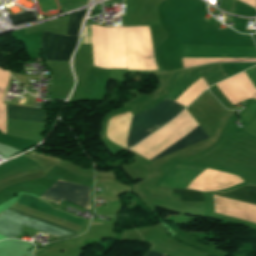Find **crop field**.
<instances>
[{
  "mask_svg": "<svg viewBox=\"0 0 256 256\" xmlns=\"http://www.w3.org/2000/svg\"><path fill=\"white\" fill-rule=\"evenodd\" d=\"M137 28L147 68L158 70L153 59L149 28ZM91 32L94 65L109 68L110 63V68L126 69L127 62V69L147 70L136 27H124L126 62L123 27L106 28L109 63L105 27L91 25Z\"/></svg>",
  "mask_w": 256,
  "mask_h": 256,
  "instance_id": "crop-field-1",
  "label": "crop field"
},
{
  "mask_svg": "<svg viewBox=\"0 0 256 256\" xmlns=\"http://www.w3.org/2000/svg\"><path fill=\"white\" fill-rule=\"evenodd\" d=\"M184 108L185 106L177 104L166 98L152 109L134 115L132 118L126 149H130L135 144L162 127L174 116L178 115Z\"/></svg>",
  "mask_w": 256,
  "mask_h": 256,
  "instance_id": "crop-field-2",
  "label": "crop field"
},
{
  "mask_svg": "<svg viewBox=\"0 0 256 256\" xmlns=\"http://www.w3.org/2000/svg\"><path fill=\"white\" fill-rule=\"evenodd\" d=\"M87 9L70 14L67 36L43 31L42 53L45 61H69L76 47L81 20Z\"/></svg>",
  "mask_w": 256,
  "mask_h": 256,
  "instance_id": "crop-field-3",
  "label": "crop field"
},
{
  "mask_svg": "<svg viewBox=\"0 0 256 256\" xmlns=\"http://www.w3.org/2000/svg\"><path fill=\"white\" fill-rule=\"evenodd\" d=\"M7 209L13 212L19 213L21 215L30 217L32 219L38 220L40 222L46 223L48 225L54 226L56 228L62 229L64 231L70 232L72 234L77 232V231L62 227L60 225L45 221L43 219L37 218L35 216L29 215L27 213L21 212L19 210L13 209L11 207ZM8 210H3L0 213V233L10 238L20 235L23 225L42 231L54 237L71 235L70 233L64 232L62 230L56 229L54 227L48 226L46 224L40 223L38 221L21 216L19 214L13 213Z\"/></svg>",
  "mask_w": 256,
  "mask_h": 256,
  "instance_id": "crop-field-4",
  "label": "crop field"
},
{
  "mask_svg": "<svg viewBox=\"0 0 256 256\" xmlns=\"http://www.w3.org/2000/svg\"><path fill=\"white\" fill-rule=\"evenodd\" d=\"M88 187L58 180L40 198L59 205L65 199L77 206L90 210Z\"/></svg>",
  "mask_w": 256,
  "mask_h": 256,
  "instance_id": "crop-field-5",
  "label": "crop field"
},
{
  "mask_svg": "<svg viewBox=\"0 0 256 256\" xmlns=\"http://www.w3.org/2000/svg\"><path fill=\"white\" fill-rule=\"evenodd\" d=\"M6 114L7 118L10 119L36 123H45L46 118V112L43 109H31L12 105H6Z\"/></svg>",
  "mask_w": 256,
  "mask_h": 256,
  "instance_id": "crop-field-6",
  "label": "crop field"
},
{
  "mask_svg": "<svg viewBox=\"0 0 256 256\" xmlns=\"http://www.w3.org/2000/svg\"><path fill=\"white\" fill-rule=\"evenodd\" d=\"M206 138H208L207 134L204 132V130L199 125L188 135H186L185 137H183L182 139H180L179 141H177L176 143H174L173 145L168 147L166 150H164L162 153H160L159 155H157L155 158H153L150 161L153 162L157 159H160L164 156H167L171 153H174L178 150H181L187 146H190V145L197 143L201 140H204Z\"/></svg>",
  "mask_w": 256,
  "mask_h": 256,
  "instance_id": "crop-field-7",
  "label": "crop field"
},
{
  "mask_svg": "<svg viewBox=\"0 0 256 256\" xmlns=\"http://www.w3.org/2000/svg\"><path fill=\"white\" fill-rule=\"evenodd\" d=\"M214 195L256 205V186L252 185Z\"/></svg>",
  "mask_w": 256,
  "mask_h": 256,
  "instance_id": "crop-field-8",
  "label": "crop field"
},
{
  "mask_svg": "<svg viewBox=\"0 0 256 256\" xmlns=\"http://www.w3.org/2000/svg\"><path fill=\"white\" fill-rule=\"evenodd\" d=\"M209 86L200 77L195 83H193L181 96L175 101L187 106L192 102L200 93H202Z\"/></svg>",
  "mask_w": 256,
  "mask_h": 256,
  "instance_id": "crop-field-9",
  "label": "crop field"
},
{
  "mask_svg": "<svg viewBox=\"0 0 256 256\" xmlns=\"http://www.w3.org/2000/svg\"><path fill=\"white\" fill-rule=\"evenodd\" d=\"M173 193L180 194V201H204L202 194L197 191L173 189Z\"/></svg>",
  "mask_w": 256,
  "mask_h": 256,
  "instance_id": "crop-field-10",
  "label": "crop field"
},
{
  "mask_svg": "<svg viewBox=\"0 0 256 256\" xmlns=\"http://www.w3.org/2000/svg\"><path fill=\"white\" fill-rule=\"evenodd\" d=\"M243 130L253 136H256V118L249 125H247Z\"/></svg>",
  "mask_w": 256,
  "mask_h": 256,
  "instance_id": "crop-field-11",
  "label": "crop field"
},
{
  "mask_svg": "<svg viewBox=\"0 0 256 256\" xmlns=\"http://www.w3.org/2000/svg\"><path fill=\"white\" fill-rule=\"evenodd\" d=\"M147 256H164V255H160V254L149 251Z\"/></svg>",
  "mask_w": 256,
  "mask_h": 256,
  "instance_id": "crop-field-12",
  "label": "crop field"
}]
</instances>
